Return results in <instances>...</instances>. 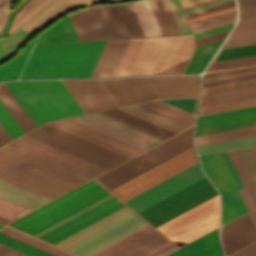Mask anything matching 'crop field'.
Listing matches in <instances>:
<instances>
[{
	"instance_id": "33",
	"label": "crop field",
	"mask_w": 256,
	"mask_h": 256,
	"mask_svg": "<svg viewBox=\"0 0 256 256\" xmlns=\"http://www.w3.org/2000/svg\"><path fill=\"white\" fill-rule=\"evenodd\" d=\"M162 33L178 32L165 0L149 1ZM179 33L162 34L163 36Z\"/></svg>"
},
{
	"instance_id": "10",
	"label": "crop field",
	"mask_w": 256,
	"mask_h": 256,
	"mask_svg": "<svg viewBox=\"0 0 256 256\" xmlns=\"http://www.w3.org/2000/svg\"><path fill=\"white\" fill-rule=\"evenodd\" d=\"M175 249L148 224L90 256H163Z\"/></svg>"
},
{
	"instance_id": "4",
	"label": "crop field",
	"mask_w": 256,
	"mask_h": 256,
	"mask_svg": "<svg viewBox=\"0 0 256 256\" xmlns=\"http://www.w3.org/2000/svg\"><path fill=\"white\" fill-rule=\"evenodd\" d=\"M106 41L35 45L20 78L89 77Z\"/></svg>"
},
{
	"instance_id": "30",
	"label": "crop field",
	"mask_w": 256,
	"mask_h": 256,
	"mask_svg": "<svg viewBox=\"0 0 256 256\" xmlns=\"http://www.w3.org/2000/svg\"><path fill=\"white\" fill-rule=\"evenodd\" d=\"M253 96H256V86L230 90L225 92H219V93H214L209 95H203L201 96L200 107L253 97Z\"/></svg>"
},
{
	"instance_id": "31",
	"label": "crop field",
	"mask_w": 256,
	"mask_h": 256,
	"mask_svg": "<svg viewBox=\"0 0 256 256\" xmlns=\"http://www.w3.org/2000/svg\"><path fill=\"white\" fill-rule=\"evenodd\" d=\"M256 135V126L195 137L197 146Z\"/></svg>"
},
{
	"instance_id": "57",
	"label": "crop field",
	"mask_w": 256,
	"mask_h": 256,
	"mask_svg": "<svg viewBox=\"0 0 256 256\" xmlns=\"http://www.w3.org/2000/svg\"><path fill=\"white\" fill-rule=\"evenodd\" d=\"M234 4L235 3L232 0V1H228V2H225V3L218 4V5H214V6H211V7H207V8H204V9H200V10H197V11H193V12H190V13H186L185 15H186V17H188V16L200 14V13H203V12L219 9V8L234 5Z\"/></svg>"
},
{
	"instance_id": "16",
	"label": "crop field",
	"mask_w": 256,
	"mask_h": 256,
	"mask_svg": "<svg viewBox=\"0 0 256 256\" xmlns=\"http://www.w3.org/2000/svg\"><path fill=\"white\" fill-rule=\"evenodd\" d=\"M69 16L80 41L115 38L101 5Z\"/></svg>"
},
{
	"instance_id": "32",
	"label": "crop field",
	"mask_w": 256,
	"mask_h": 256,
	"mask_svg": "<svg viewBox=\"0 0 256 256\" xmlns=\"http://www.w3.org/2000/svg\"><path fill=\"white\" fill-rule=\"evenodd\" d=\"M223 40L197 46L185 73H199Z\"/></svg>"
},
{
	"instance_id": "29",
	"label": "crop field",
	"mask_w": 256,
	"mask_h": 256,
	"mask_svg": "<svg viewBox=\"0 0 256 256\" xmlns=\"http://www.w3.org/2000/svg\"><path fill=\"white\" fill-rule=\"evenodd\" d=\"M145 37L162 36L148 0L131 3Z\"/></svg>"
},
{
	"instance_id": "28",
	"label": "crop field",
	"mask_w": 256,
	"mask_h": 256,
	"mask_svg": "<svg viewBox=\"0 0 256 256\" xmlns=\"http://www.w3.org/2000/svg\"><path fill=\"white\" fill-rule=\"evenodd\" d=\"M79 41L69 16L39 35L36 43Z\"/></svg>"
},
{
	"instance_id": "62",
	"label": "crop field",
	"mask_w": 256,
	"mask_h": 256,
	"mask_svg": "<svg viewBox=\"0 0 256 256\" xmlns=\"http://www.w3.org/2000/svg\"><path fill=\"white\" fill-rule=\"evenodd\" d=\"M240 193H241V195H242V197H243V199H244V201H245V203H246V205H247V207H248V209H249V211H250V213H251V215H252V217H253V219L256 223V209H255V207H254L246 189L240 190Z\"/></svg>"
},
{
	"instance_id": "45",
	"label": "crop field",
	"mask_w": 256,
	"mask_h": 256,
	"mask_svg": "<svg viewBox=\"0 0 256 256\" xmlns=\"http://www.w3.org/2000/svg\"><path fill=\"white\" fill-rule=\"evenodd\" d=\"M0 123L12 137V139L24 134L4 106L0 102Z\"/></svg>"
},
{
	"instance_id": "59",
	"label": "crop field",
	"mask_w": 256,
	"mask_h": 256,
	"mask_svg": "<svg viewBox=\"0 0 256 256\" xmlns=\"http://www.w3.org/2000/svg\"><path fill=\"white\" fill-rule=\"evenodd\" d=\"M251 73H256V69L243 71V72L232 73V74H227V75H221V76H216V77H211V78H205V79L202 80V83L209 82V81H214V80L225 79V78H230V77H235V76H240V75H245V74H251Z\"/></svg>"
},
{
	"instance_id": "37",
	"label": "crop field",
	"mask_w": 256,
	"mask_h": 256,
	"mask_svg": "<svg viewBox=\"0 0 256 256\" xmlns=\"http://www.w3.org/2000/svg\"><path fill=\"white\" fill-rule=\"evenodd\" d=\"M52 0H31L27 3L16 15L15 20L10 28L11 32L16 30L40 9L47 5Z\"/></svg>"
},
{
	"instance_id": "23",
	"label": "crop field",
	"mask_w": 256,
	"mask_h": 256,
	"mask_svg": "<svg viewBox=\"0 0 256 256\" xmlns=\"http://www.w3.org/2000/svg\"><path fill=\"white\" fill-rule=\"evenodd\" d=\"M128 40L107 41L90 77H111Z\"/></svg>"
},
{
	"instance_id": "68",
	"label": "crop field",
	"mask_w": 256,
	"mask_h": 256,
	"mask_svg": "<svg viewBox=\"0 0 256 256\" xmlns=\"http://www.w3.org/2000/svg\"><path fill=\"white\" fill-rule=\"evenodd\" d=\"M234 8H235V5L234 6H230V7H226V8H222V9H219V10L203 13V14H200V15L188 17L187 19H188V21H190V20L198 19V18L205 17V16H208V15H212V14H216V13H219V12H223V11H226V10L234 9Z\"/></svg>"
},
{
	"instance_id": "49",
	"label": "crop field",
	"mask_w": 256,
	"mask_h": 256,
	"mask_svg": "<svg viewBox=\"0 0 256 256\" xmlns=\"http://www.w3.org/2000/svg\"><path fill=\"white\" fill-rule=\"evenodd\" d=\"M235 16H236V12L234 9V10L226 11V12L219 13L216 15L201 18L198 20L190 21L189 24H190V28L192 29V28H196L199 26H203L206 24L221 21V20L228 19V18L235 17Z\"/></svg>"
},
{
	"instance_id": "21",
	"label": "crop field",
	"mask_w": 256,
	"mask_h": 256,
	"mask_svg": "<svg viewBox=\"0 0 256 256\" xmlns=\"http://www.w3.org/2000/svg\"><path fill=\"white\" fill-rule=\"evenodd\" d=\"M0 232H2L4 234H7V235H9L11 237H14V238H16L18 240H21V241H23L25 243H28V244H30L32 246H35V247H37L39 249H42V250H44L46 252H49V253H51L53 255H56V256H73V255H71L69 253L61 251V250H59L57 248H54V247H52L50 245H47V244H45L43 242H40V241H38L36 239H33V238L29 237V236H26V235H24L22 233H19V232L15 231V230L7 228V227L2 229ZM2 233H0V243L1 244H4V245H6L8 247H11V248H13L15 250H18V251L23 252V253H25L27 255H30V256H53V255H51L49 253H46V252H44L42 250H39V249H37L35 247H32V246H30L28 244H25V243H23L21 241H18L16 239L11 238V237H9L7 235H4Z\"/></svg>"
},
{
	"instance_id": "66",
	"label": "crop field",
	"mask_w": 256,
	"mask_h": 256,
	"mask_svg": "<svg viewBox=\"0 0 256 256\" xmlns=\"http://www.w3.org/2000/svg\"><path fill=\"white\" fill-rule=\"evenodd\" d=\"M0 256H27V255L0 244Z\"/></svg>"
},
{
	"instance_id": "54",
	"label": "crop field",
	"mask_w": 256,
	"mask_h": 256,
	"mask_svg": "<svg viewBox=\"0 0 256 256\" xmlns=\"http://www.w3.org/2000/svg\"><path fill=\"white\" fill-rule=\"evenodd\" d=\"M117 108H119V109H121V110H124V111H126V112H128V113H131V114H133V115H135V116H138V117H140V118H142V119H145V120H147V121H150V122H152V123H154V124H157V125H159V126H161V127H164V128H166V129H168V130H171V131H173V132H175V133H177V132L180 131V130H178V129H176V128H173V127H171V126H169V125H166V124H164V123H162V122H159V121H157V120H155V119H152V118H150V117H148V116H146V115H143V114H141V113H139V112H136V111H134V110H132V109H129V108L125 107V106H121V107H117Z\"/></svg>"
},
{
	"instance_id": "5",
	"label": "crop field",
	"mask_w": 256,
	"mask_h": 256,
	"mask_svg": "<svg viewBox=\"0 0 256 256\" xmlns=\"http://www.w3.org/2000/svg\"><path fill=\"white\" fill-rule=\"evenodd\" d=\"M5 84L37 126L49 120L83 113L60 80Z\"/></svg>"
},
{
	"instance_id": "35",
	"label": "crop field",
	"mask_w": 256,
	"mask_h": 256,
	"mask_svg": "<svg viewBox=\"0 0 256 256\" xmlns=\"http://www.w3.org/2000/svg\"><path fill=\"white\" fill-rule=\"evenodd\" d=\"M103 111L106 112V113H109V114H111L113 116H116L118 118H121V119H123L125 121H128V122H130L132 124H135V125H137L139 127H142V128H144L146 130L154 132V133H156L158 135H161V136H163L165 138H168V137H170V136L175 134V133H173L171 131H168V130H166L164 128H161V127H159L157 125H154V124H152L150 122H147L145 120H142V119H140L138 117H135V116H133L131 114H128V113H126L124 111H121V110H119L117 108L103 110Z\"/></svg>"
},
{
	"instance_id": "43",
	"label": "crop field",
	"mask_w": 256,
	"mask_h": 256,
	"mask_svg": "<svg viewBox=\"0 0 256 256\" xmlns=\"http://www.w3.org/2000/svg\"><path fill=\"white\" fill-rule=\"evenodd\" d=\"M256 55V45L219 50L213 61Z\"/></svg>"
},
{
	"instance_id": "63",
	"label": "crop field",
	"mask_w": 256,
	"mask_h": 256,
	"mask_svg": "<svg viewBox=\"0 0 256 256\" xmlns=\"http://www.w3.org/2000/svg\"><path fill=\"white\" fill-rule=\"evenodd\" d=\"M232 25L233 24L221 26V27H218V28H214V29H211V30H207V31H204V32L193 34L192 36L195 39V38L203 37V36H206V35L218 33V32H221V31L229 30V29H231Z\"/></svg>"
},
{
	"instance_id": "2",
	"label": "crop field",
	"mask_w": 256,
	"mask_h": 256,
	"mask_svg": "<svg viewBox=\"0 0 256 256\" xmlns=\"http://www.w3.org/2000/svg\"><path fill=\"white\" fill-rule=\"evenodd\" d=\"M26 135L0 148V173L49 147ZM107 169L49 147L0 174V179L50 200Z\"/></svg>"
},
{
	"instance_id": "51",
	"label": "crop field",
	"mask_w": 256,
	"mask_h": 256,
	"mask_svg": "<svg viewBox=\"0 0 256 256\" xmlns=\"http://www.w3.org/2000/svg\"><path fill=\"white\" fill-rule=\"evenodd\" d=\"M240 18L256 17V0H238Z\"/></svg>"
},
{
	"instance_id": "12",
	"label": "crop field",
	"mask_w": 256,
	"mask_h": 256,
	"mask_svg": "<svg viewBox=\"0 0 256 256\" xmlns=\"http://www.w3.org/2000/svg\"><path fill=\"white\" fill-rule=\"evenodd\" d=\"M201 163L222 197L221 224L247 212L218 153L200 156Z\"/></svg>"
},
{
	"instance_id": "72",
	"label": "crop field",
	"mask_w": 256,
	"mask_h": 256,
	"mask_svg": "<svg viewBox=\"0 0 256 256\" xmlns=\"http://www.w3.org/2000/svg\"><path fill=\"white\" fill-rule=\"evenodd\" d=\"M220 1H223V0H212V1H209V2L202 3V4H198V5H195V6L188 7V8H184V11L194 9V8H197V7H201V6H205V5H209V4H212V3L220 2Z\"/></svg>"
},
{
	"instance_id": "75",
	"label": "crop field",
	"mask_w": 256,
	"mask_h": 256,
	"mask_svg": "<svg viewBox=\"0 0 256 256\" xmlns=\"http://www.w3.org/2000/svg\"><path fill=\"white\" fill-rule=\"evenodd\" d=\"M254 149H255V151H256V146H254Z\"/></svg>"
},
{
	"instance_id": "48",
	"label": "crop field",
	"mask_w": 256,
	"mask_h": 256,
	"mask_svg": "<svg viewBox=\"0 0 256 256\" xmlns=\"http://www.w3.org/2000/svg\"><path fill=\"white\" fill-rule=\"evenodd\" d=\"M198 97L160 99L195 115Z\"/></svg>"
},
{
	"instance_id": "9",
	"label": "crop field",
	"mask_w": 256,
	"mask_h": 256,
	"mask_svg": "<svg viewBox=\"0 0 256 256\" xmlns=\"http://www.w3.org/2000/svg\"><path fill=\"white\" fill-rule=\"evenodd\" d=\"M216 195L205 177L138 214L156 227Z\"/></svg>"
},
{
	"instance_id": "11",
	"label": "crop field",
	"mask_w": 256,
	"mask_h": 256,
	"mask_svg": "<svg viewBox=\"0 0 256 256\" xmlns=\"http://www.w3.org/2000/svg\"><path fill=\"white\" fill-rule=\"evenodd\" d=\"M196 162L191 147L110 191L124 201Z\"/></svg>"
},
{
	"instance_id": "41",
	"label": "crop field",
	"mask_w": 256,
	"mask_h": 256,
	"mask_svg": "<svg viewBox=\"0 0 256 256\" xmlns=\"http://www.w3.org/2000/svg\"><path fill=\"white\" fill-rule=\"evenodd\" d=\"M250 65H256V56H249V57H242V58H235V59L211 62L208 69L206 70V72L222 70V69L237 68V67H244V66H250Z\"/></svg>"
},
{
	"instance_id": "42",
	"label": "crop field",
	"mask_w": 256,
	"mask_h": 256,
	"mask_svg": "<svg viewBox=\"0 0 256 256\" xmlns=\"http://www.w3.org/2000/svg\"><path fill=\"white\" fill-rule=\"evenodd\" d=\"M255 166H256V153L253 149V147H249L247 148ZM246 148H243V149H237L236 152L256 190V168L247 152Z\"/></svg>"
},
{
	"instance_id": "52",
	"label": "crop field",
	"mask_w": 256,
	"mask_h": 256,
	"mask_svg": "<svg viewBox=\"0 0 256 256\" xmlns=\"http://www.w3.org/2000/svg\"><path fill=\"white\" fill-rule=\"evenodd\" d=\"M253 31H256V19L243 20V21H238L231 35L253 32Z\"/></svg>"
},
{
	"instance_id": "69",
	"label": "crop field",
	"mask_w": 256,
	"mask_h": 256,
	"mask_svg": "<svg viewBox=\"0 0 256 256\" xmlns=\"http://www.w3.org/2000/svg\"><path fill=\"white\" fill-rule=\"evenodd\" d=\"M253 68H256V66L239 68V69H233V70H227V71H221V72H215V73H209V74H204L203 78L211 77V76H216V75H221V74L232 73V72H237V71H243V70H248V69H253Z\"/></svg>"
},
{
	"instance_id": "40",
	"label": "crop field",
	"mask_w": 256,
	"mask_h": 256,
	"mask_svg": "<svg viewBox=\"0 0 256 256\" xmlns=\"http://www.w3.org/2000/svg\"><path fill=\"white\" fill-rule=\"evenodd\" d=\"M31 210L0 198V224L6 223L30 212Z\"/></svg>"
},
{
	"instance_id": "39",
	"label": "crop field",
	"mask_w": 256,
	"mask_h": 256,
	"mask_svg": "<svg viewBox=\"0 0 256 256\" xmlns=\"http://www.w3.org/2000/svg\"><path fill=\"white\" fill-rule=\"evenodd\" d=\"M251 106H256V97L233 101V102H228V103H223V104L207 106V107H202L199 110L198 116L211 114V113H217V112H223V111H228V110H234V109H239V108L251 107Z\"/></svg>"
},
{
	"instance_id": "61",
	"label": "crop field",
	"mask_w": 256,
	"mask_h": 256,
	"mask_svg": "<svg viewBox=\"0 0 256 256\" xmlns=\"http://www.w3.org/2000/svg\"><path fill=\"white\" fill-rule=\"evenodd\" d=\"M255 109H256V107H251V108H245V109H240V110L228 111V112L217 113V114H212V115L200 116V117H198L197 121L204 120V119H209V118H214V117L230 115V114H235V113H240V112H245V111H250V110H255Z\"/></svg>"
},
{
	"instance_id": "34",
	"label": "crop field",
	"mask_w": 256,
	"mask_h": 256,
	"mask_svg": "<svg viewBox=\"0 0 256 256\" xmlns=\"http://www.w3.org/2000/svg\"><path fill=\"white\" fill-rule=\"evenodd\" d=\"M35 40L29 42L17 56L0 66V80L17 79Z\"/></svg>"
},
{
	"instance_id": "65",
	"label": "crop field",
	"mask_w": 256,
	"mask_h": 256,
	"mask_svg": "<svg viewBox=\"0 0 256 256\" xmlns=\"http://www.w3.org/2000/svg\"><path fill=\"white\" fill-rule=\"evenodd\" d=\"M253 77H256V74L245 75V76H240V77H235V78H230V79H225V80H220V81L204 83V84H202V87L220 84V83L231 82V81H237V80H242V79H248V78H253Z\"/></svg>"
},
{
	"instance_id": "24",
	"label": "crop field",
	"mask_w": 256,
	"mask_h": 256,
	"mask_svg": "<svg viewBox=\"0 0 256 256\" xmlns=\"http://www.w3.org/2000/svg\"><path fill=\"white\" fill-rule=\"evenodd\" d=\"M214 230L167 256H223Z\"/></svg>"
},
{
	"instance_id": "50",
	"label": "crop field",
	"mask_w": 256,
	"mask_h": 256,
	"mask_svg": "<svg viewBox=\"0 0 256 256\" xmlns=\"http://www.w3.org/2000/svg\"><path fill=\"white\" fill-rule=\"evenodd\" d=\"M252 125H256V119L250 120V121H245V122L224 125V126H219V127H214V128L198 130V131H196L195 136L224 131V130H230V129H235V128H241V127H246V126H252Z\"/></svg>"
},
{
	"instance_id": "6",
	"label": "crop field",
	"mask_w": 256,
	"mask_h": 256,
	"mask_svg": "<svg viewBox=\"0 0 256 256\" xmlns=\"http://www.w3.org/2000/svg\"><path fill=\"white\" fill-rule=\"evenodd\" d=\"M193 127L96 177L109 190L193 146Z\"/></svg>"
},
{
	"instance_id": "15",
	"label": "crop field",
	"mask_w": 256,
	"mask_h": 256,
	"mask_svg": "<svg viewBox=\"0 0 256 256\" xmlns=\"http://www.w3.org/2000/svg\"><path fill=\"white\" fill-rule=\"evenodd\" d=\"M85 113L117 106L99 80H62Z\"/></svg>"
},
{
	"instance_id": "22",
	"label": "crop field",
	"mask_w": 256,
	"mask_h": 256,
	"mask_svg": "<svg viewBox=\"0 0 256 256\" xmlns=\"http://www.w3.org/2000/svg\"><path fill=\"white\" fill-rule=\"evenodd\" d=\"M128 79H133L140 89L142 87V89L145 91V93L148 95V97L156 95L153 92V90L150 88V86L146 83L145 80H137L139 82V84L141 85V87L135 80V79H143V77L101 80V81L102 82H104V81H120V80H128ZM133 80L120 81V82H105L103 84L108 89V91L112 94V96L115 98V100L118 102V104H120V103H124V102H128V101L144 98L145 96L147 97V95L141 89L142 92L145 94V96H144V94L137 87V85L134 83ZM148 97L144 98V99L136 100V101L150 99ZM155 97H157V96H155ZM155 97H151V98H155ZM136 101H132V102H136ZM128 103H131V102H128ZM124 104H127V103H124ZM120 105H122V104H120Z\"/></svg>"
},
{
	"instance_id": "44",
	"label": "crop field",
	"mask_w": 256,
	"mask_h": 256,
	"mask_svg": "<svg viewBox=\"0 0 256 256\" xmlns=\"http://www.w3.org/2000/svg\"><path fill=\"white\" fill-rule=\"evenodd\" d=\"M180 34H190L187 21L178 0H166Z\"/></svg>"
},
{
	"instance_id": "38",
	"label": "crop field",
	"mask_w": 256,
	"mask_h": 256,
	"mask_svg": "<svg viewBox=\"0 0 256 256\" xmlns=\"http://www.w3.org/2000/svg\"><path fill=\"white\" fill-rule=\"evenodd\" d=\"M256 118V110L197 122L196 130Z\"/></svg>"
},
{
	"instance_id": "18",
	"label": "crop field",
	"mask_w": 256,
	"mask_h": 256,
	"mask_svg": "<svg viewBox=\"0 0 256 256\" xmlns=\"http://www.w3.org/2000/svg\"><path fill=\"white\" fill-rule=\"evenodd\" d=\"M221 240L225 255H229L256 241V228L249 213L221 226Z\"/></svg>"
},
{
	"instance_id": "17",
	"label": "crop field",
	"mask_w": 256,
	"mask_h": 256,
	"mask_svg": "<svg viewBox=\"0 0 256 256\" xmlns=\"http://www.w3.org/2000/svg\"><path fill=\"white\" fill-rule=\"evenodd\" d=\"M66 119V118H65ZM62 120V119H61ZM58 121V120H57ZM54 122V121H53ZM50 123V122H49ZM50 125L79 136L97 145L105 147L128 158L142 152L143 150L112 138L101 132L93 130L70 119L50 123Z\"/></svg>"
},
{
	"instance_id": "70",
	"label": "crop field",
	"mask_w": 256,
	"mask_h": 256,
	"mask_svg": "<svg viewBox=\"0 0 256 256\" xmlns=\"http://www.w3.org/2000/svg\"><path fill=\"white\" fill-rule=\"evenodd\" d=\"M12 140L5 129L0 124V146Z\"/></svg>"
},
{
	"instance_id": "60",
	"label": "crop field",
	"mask_w": 256,
	"mask_h": 256,
	"mask_svg": "<svg viewBox=\"0 0 256 256\" xmlns=\"http://www.w3.org/2000/svg\"><path fill=\"white\" fill-rule=\"evenodd\" d=\"M230 256H256V242L233 253Z\"/></svg>"
},
{
	"instance_id": "27",
	"label": "crop field",
	"mask_w": 256,
	"mask_h": 256,
	"mask_svg": "<svg viewBox=\"0 0 256 256\" xmlns=\"http://www.w3.org/2000/svg\"><path fill=\"white\" fill-rule=\"evenodd\" d=\"M0 101L25 132L37 127L4 83H0Z\"/></svg>"
},
{
	"instance_id": "14",
	"label": "crop field",
	"mask_w": 256,
	"mask_h": 256,
	"mask_svg": "<svg viewBox=\"0 0 256 256\" xmlns=\"http://www.w3.org/2000/svg\"><path fill=\"white\" fill-rule=\"evenodd\" d=\"M70 118L143 150H146L161 141L96 113Z\"/></svg>"
},
{
	"instance_id": "67",
	"label": "crop field",
	"mask_w": 256,
	"mask_h": 256,
	"mask_svg": "<svg viewBox=\"0 0 256 256\" xmlns=\"http://www.w3.org/2000/svg\"><path fill=\"white\" fill-rule=\"evenodd\" d=\"M8 6V0H7ZM6 20V0H0V30Z\"/></svg>"
},
{
	"instance_id": "8",
	"label": "crop field",
	"mask_w": 256,
	"mask_h": 256,
	"mask_svg": "<svg viewBox=\"0 0 256 256\" xmlns=\"http://www.w3.org/2000/svg\"><path fill=\"white\" fill-rule=\"evenodd\" d=\"M26 135L65 150L107 169L128 159L46 124L34 129Z\"/></svg>"
},
{
	"instance_id": "19",
	"label": "crop field",
	"mask_w": 256,
	"mask_h": 256,
	"mask_svg": "<svg viewBox=\"0 0 256 256\" xmlns=\"http://www.w3.org/2000/svg\"><path fill=\"white\" fill-rule=\"evenodd\" d=\"M159 97L198 95V76L144 77Z\"/></svg>"
},
{
	"instance_id": "46",
	"label": "crop field",
	"mask_w": 256,
	"mask_h": 256,
	"mask_svg": "<svg viewBox=\"0 0 256 256\" xmlns=\"http://www.w3.org/2000/svg\"><path fill=\"white\" fill-rule=\"evenodd\" d=\"M256 85V78L202 88V95Z\"/></svg>"
},
{
	"instance_id": "53",
	"label": "crop field",
	"mask_w": 256,
	"mask_h": 256,
	"mask_svg": "<svg viewBox=\"0 0 256 256\" xmlns=\"http://www.w3.org/2000/svg\"><path fill=\"white\" fill-rule=\"evenodd\" d=\"M220 155H221L228 171L230 172L238 190L244 189V186H243V184H242V182H241V180H240V178H239V176H238V174H237V172H236V170H235L227 152L220 153Z\"/></svg>"
},
{
	"instance_id": "7",
	"label": "crop field",
	"mask_w": 256,
	"mask_h": 256,
	"mask_svg": "<svg viewBox=\"0 0 256 256\" xmlns=\"http://www.w3.org/2000/svg\"><path fill=\"white\" fill-rule=\"evenodd\" d=\"M219 224L218 196L156 227L173 243L182 245L217 227Z\"/></svg>"
},
{
	"instance_id": "71",
	"label": "crop field",
	"mask_w": 256,
	"mask_h": 256,
	"mask_svg": "<svg viewBox=\"0 0 256 256\" xmlns=\"http://www.w3.org/2000/svg\"><path fill=\"white\" fill-rule=\"evenodd\" d=\"M205 1H209V0H190V1L182 2L181 4H182V7L184 8V7H188V6L202 3Z\"/></svg>"
},
{
	"instance_id": "20",
	"label": "crop field",
	"mask_w": 256,
	"mask_h": 256,
	"mask_svg": "<svg viewBox=\"0 0 256 256\" xmlns=\"http://www.w3.org/2000/svg\"><path fill=\"white\" fill-rule=\"evenodd\" d=\"M102 6L116 38L144 37L130 3Z\"/></svg>"
},
{
	"instance_id": "64",
	"label": "crop field",
	"mask_w": 256,
	"mask_h": 256,
	"mask_svg": "<svg viewBox=\"0 0 256 256\" xmlns=\"http://www.w3.org/2000/svg\"><path fill=\"white\" fill-rule=\"evenodd\" d=\"M235 18H231V19H228V20H224V21H221V22L214 23V24H210V25H206V26L199 27V28H196V29H192L191 32L193 34V33H197V32L204 31V30H207V29H211V28H214V27H218V26H221V25L233 23L235 21Z\"/></svg>"
},
{
	"instance_id": "25",
	"label": "crop field",
	"mask_w": 256,
	"mask_h": 256,
	"mask_svg": "<svg viewBox=\"0 0 256 256\" xmlns=\"http://www.w3.org/2000/svg\"><path fill=\"white\" fill-rule=\"evenodd\" d=\"M0 197L8 199L31 210L50 201L2 180H0Z\"/></svg>"
},
{
	"instance_id": "3",
	"label": "crop field",
	"mask_w": 256,
	"mask_h": 256,
	"mask_svg": "<svg viewBox=\"0 0 256 256\" xmlns=\"http://www.w3.org/2000/svg\"><path fill=\"white\" fill-rule=\"evenodd\" d=\"M193 49L191 35L130 39L112 76L157 74L189 58ZM188 60L160 74L182 73Z\"/></svg>"
},
{
	"instance_id": "56",
	"label": "crop field",
	"mask_w": 256,
	"mask_h": 256,
	"mask_svg": "<svg viewBox=\"0 0 256 256\" xmlns=\"http://www.w3.org/2000/svg\"><path fill=\"white\" fill-rule=\"evenodd\" d=\"M96 113L101 114V115H103V116H105V117H108V118H110V119H113V120H115V121H118V122H120V123H122V124H125V125H127V126H130V127H132V128H135V129H137V130H139V131H142V132H144V133H147V134H149V135H152V136H154V137H156V138H159V139H161V140H164V139H165V138H163V137H161V136H158V135H156V134H154V133H151V132H149V131H146V130H144V129H142V128H139V127H137V126H135V125H132V124H130V123H128V122H125V121H123V120H121V119H118V118L113 117V116H111V115H109V114H106V113H104V112H102V111H99V112H96Z\"/></svg>"
},
{
	"instance_id": "13",
	"label": "crop field",
	"mask_w": 256,
	"mask_h": 256,
	"mask_svg": "<svg viewBox=\"0 0 256 256\" xmlns=\"http://www.w3.org/2000/svg\"><path fill=\"white\" fill-rule=\"evenodd\" d=\"M203 177L196 163L124 202L138 213Z\"/></svg>"
},
{
	"instance_id": "74",
	"label": "crop field",
	"mask_w": 256,
	"mask_h": 256,
	"mask_svg": "<svg viewBox=\"0 0 256 256\" xmlns=\"http://www.w3.org/2000/svg\"><path fill=\"white\" fill-rule=\"evenodd\" d=\"M182 1H186V0H180V2H182Z\"/></svg>"
},
{
	"instance_id": "47",
	"label": "crop field",
	"mask_w": 256,
	"mask_h": 256,
	"mask_svg": "<svg viewBox=\"0 0 256 256\" xmlns=\"http://www.w3.org/2000/svg\"><path fill=\"white\" fill-rule=\"evenodd\" d=\"M251 44H256V32L229 36L221 49Z\"/></svg>"
},
{
	"instance_id": "73",
	"label": "crop field",
	"mask_w": 256,
	"mask_h": 256,
	"mask_svg": "<svg viewBox=\"0 0 256 256\" xmlns=\"http://www.w3.org/2000/svg\"><path fill=\"white\" fill-rule=\"evenodd\" d=\"M105 1H117V0H87V3L91 4V3L105 2Z\"/></svg>"
},
{
	"instance_id": "36",
	"label": "crop field",
	"mask_w": 256,
	"mask_h": 256,
	"mask_svg": "<svg viewBox=\"0 0 256 256\" xmlns=\"http://www.w3.org/2000/svg\"><path fill=\"white\" fill-rule=\"evenodd\" d=\"M256 144V136L197 147L199 155Z\"/></svg>"
},
{
	"instance_id": "76",
	"label": "crop field",
	"mask_w": 256,
	"mask_h": 256,
	"mask_svg": "<svg viewBox=\"0 0 256 256\" xmlns=\"http://www.w3.org/2000/svg\"><path fill=\"white\" fill-rule=\"evenodd\" d=\"M3 226L0 225V228H2Z\"/></svg>"
},
{
	"instance_id": "55",
	"label": "crop field",
	"mask_w": 256,
	"mask_h": 256,
	"mask_svg": "<svg viewBox=\"0 0 256 256\" xmlns=\"http://www.w3.org/2000/svg\"><path fill=\"white\" fill-rule=\"evenodd\" d=\"M229 31H225V32H221V33H218V34H214V35H210V36H206V37H203V38H199V39H195V45H201V44H205V43H208V42H212V41H215V40H219V39H223L225 38V36L227 35Z\"/></svg>"
},
{
	"instance_id": "1",
	"label": "crop field",
	"mask_w": 256,
	"mask_h": 256,
	"mask_svg": "<svg viewBox=\"0 0 256 256\" xmlns=\"http://www.w3.org/2000/svg\"><path fill=\"white\" fill-rule=\"evenodd\" d=\"M146 224L93 180L7 226L88 256Z\"/></svg>"
},
{
	"instance_id": "58",
	"label": "crop field",
	"mask_w": 256,
	"mask_h": 256,
	"mask_svg": "<svg viewBox=\"0 0 256 256\" xmlns=\"http://www.w3.org/2000/svg\"><path fill=\"white\" fill-rule=\"evenodd\" d=\"M127 107L132 108V109H134V110H136V111H139V112H141V113H143V114H146V115H148V116H150V117H153V118H155V119H157V120H159V121H162V122H164V123H166V124H169V125H171V126H173V127L178 128V129H180V130H182V129L185 128V127H183V126H180V125H178V124H176V123H173V122H171V121H168V120H166V119H163V118H161V117H158V116H156V115H154V114H151V113H149V112H146V111H144V110H141V109H139V108H137V107H134V106H132V105H127Z\"/></svg>"
},
{
	"instance_id": "26",
	"label": "crop field",
	"mask_w": 256,
	"mask_h": 256,
	"mask_svg": "<svg viewBox=\"0 0 256 256\" xmlns=\"http://www.w3.org/2000/svg\"><path fill=\"white\" fill-rule=\"evenodd\" d=\"M146 102L194 123V117L195 116L190 114V113H187V112H185V111H183L181 109H178V108H176L174 106H171V105H169V104H167L165 102H162V101H160L158 99H154V100H150V101H146ZM147 103L142 102V103L133 104V105L137 106V107H139L141 109H144L146 111H149L151 113H154L156 115H159V116H161L163 118H166L168 120H171L173 122H176V123H178L180 125H183L185 127H188V126L193 124V123H191L189 121H186V120H184L182 118H179V117H177L175 115H172V114H170V113H168L166 111H163V110H161L159 108H156V107H154L152 105H149Z\"/></svg>"
}]
</instances>
